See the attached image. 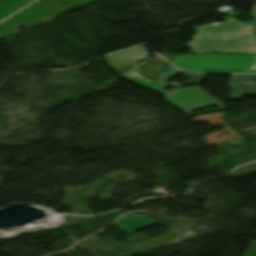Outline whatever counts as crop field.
Wrapping results in <instances>:
<instances>
[{
    "label": "crop field",
    "instance_id": "1",
    "mask_svg": "<svg viewBox=\"0 0 256 256\" xmlns=\"http://www.w3.org/2000/svg\"><path fill=\"white\" fill-rule=\"evenodd\" d=\"M145 63H147L146 60L122 72L119 76L139 86H147L163 94V98L166 102H168L169 104L173 105L174 107L178 108L179 110L185 112L190 116L226 109L225 106L219 100H217L215 97H213L211 94H209L201 87L172 89L170 91H165L164 88L167 87L165 80L180 73L179 70L175 69L173 66L170 65L164 68L165 70L157 75L158 80L152 82L139 75L140 66ZM216 104H218L220 108L191 113V111L193 110L201 109Z\"/></svg>",
    "mask_w": 256,
    "mask_h": 256
},
{
    "label": "crop field",
    "instance_id": "2",
    "mask_svg": "<svg viewBox=\"0 0 256 256\" xmlns=\"http://www.w3.org/2000/svg\"><path fill=\"white\" fill-rule=\"evenodd\" d=\"M250 13L254 17L255 23H250L249 26L229 20L215 26H201L195 29L194 41L188 42L191 53H256V37H254V43L250 36V34L256 35V2ZM238 31L241 33L243 52H241L240 48ZM245 32H247V37H245ZM234 44H236L237 52H235ZM228 45H230V51H228ZM195 46L198 49L197 53ZM248 46L249 50H247Z\"/></svg>",
    "mask_w": 256,
    "mask_h": 256
},
{
    "label": "crop field",
    "instance_id": "3",
    "mask_svg": "<svg viewBox=\"0 0 256 256\" xmlns=\"http://www.w3.org/2000/svg\"><path fill=\"white\" fill-rule=\"evenodd\" d=\"M173 64L199 73H256L250 71L256 64V55H176Z\"/></svg>",
    "mask_w": 256,
    "mask_h": 256
},
{
    "label": "crop field",
    "instance_id": "4",
    "mask_svg": "<svg viewBox=\"0 0 256 256\" xmlns=\"http://www.w3.org/2000/svg\"><path fill=\"white\" fill-rule=\"evenodd\" d=\"M59 14L46 8V3L43 0L30 5L17 15L5 20L0 24V38L11 34L14 26L25 27L38 23L39 21L57 16Z\"/></svg>",
    "mask_w": 256,
    "mask_h": 256
},
{
    "label": "crop field",
    "instance_id": "5",
    "mask_svg": "<svg viewBox=\"0 0 256 256\" xmlns=\"http://www.w3.org/2000/svg\"><path fill=\"white\" fill-rule=\"evenodd\" d=\"M228 86L232 87L228 99L256 95V75H231Z\"/></svg>",
    "mask_w": 256,
    "mask_h": 256
},
{
    "label": "crop field",
    "instance_id": "6",
    "mask_svg": "<svg viewBox=\"0 0 256 256\" xmlns=\"http://www.w3.org/2000/svg\"><path fill=\"white\" fill-rule=\"evenodd\" d=\"M115 225L117 228L127 233L156 225V223L142 215H128L119 218Z\"/></svg>",
    "mask_w": 256,
    "mask_h": 256
},
{
    "label": "crop field",
    "instance_id": "7",
    "mask_svg": "<svg viewBox=\"0 0 256 256\" xmlns=\"http://www.w3.org/2000/svg\"><path fill=\"white\" fill-rule=\"evenodd\" d=\"M34 0H3L0 4V21Z\"/></svg>",
    "mask_w": 256,
    "mask_h": 256
},
{
    "label": "crop field",
    "instance_id": "8",
    "mask_svg": "<svg viewBox=\"0 0 256 256\" xmlns=\"http://www.w3.org/2000/svg\"><path fill=\"white\" fill-rule=\"evenodd\" d=\"M119 54H121V55H119ZM115 55H119V56L110 58V57L115 56ZM122 56H124V57H122ZM119 57H122V58L117 59V58H119ZM105 59H106L108 65H109L111 68H113L115 71H121V70L127 69V68H129V67H131V66H133V65L138 64V63L135 62L133 59H131L130 57L126 56L125 54H123V53H121V52L115 53V54H112V55H109V56H105ZM111 59H113L114 61H110ZM122 59H126V60L123 61V62H121L120 60H122ZM116 61H119V62L113 63V62H116ZM127 61L130 62V63H128V64H124V65H126L127 67L120 68V69H116V68H118V67L124 66V65H120V66H116V65H119V64L124 63V62H127ZM111 63H113V64H111ZM114 66H116V67H114Z\"/></svg>",
    "mask_w": 256,
    "mask_h": 256
},
{
    "label": "crop field",
    "instance_id": "9",
    "mask_svg": "<svg viewBox=\"0 0 256 256\" xmlns=\"http://www.w3.org/2000/svg\"><path fill=\"white\" fill-rule=\"evenodd\" d=\"M122 52L125 53L126 55L130 56L137 62L149 57V54L146 52V50L143 46L133 48L130 50H126V51H122Z\"/></svg>",
    "mask_w": 256,
    "mask_h": 256
},
{
    "label": "crop field",
    "instance_id": "10",
    "mask_svg": "<svg viewBox=\"0 0 256 256\" xmlns=\"http://www.w3.org/2000/svg\"><path fill=\"white\" fill-rule=\"evenodd\" d=\"M243 256H256V242H252V244Z\"/></svg>",
    "mask_w": 256,
    "mask_h": 256
},
{
    "label": "crop field",
    "instance_id": "11",
    "mask_svg": "<svg viewBox=\"0 0 256 256\" xmlns=\"http://www.w3.org/2000/svg\"><path fill=\"white\" fill-rule=\"evenodd\" d=\"M1 1V0H0Z\"/></svg>",
    "mask_w": 256,
    "mask_h": 256
}]
</instances>
